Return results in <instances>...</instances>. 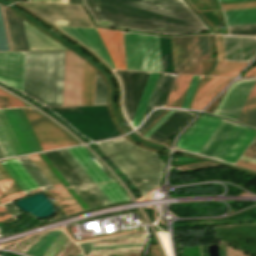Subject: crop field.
<instances>
[{"instance_id": "1", "label": "crop field", "mask_w": 256, "mask_h": 256, "mask_svg": "<svg viewBox=\"0 0 256 256\" xmlns=\"http://www.w3.org/2000/svg\"><path fill=\"white\" fill-rule=\"evenodd\" d=\"M65 51L26 52L24 95L62 106Z\"/></svg>"}, {"instance_id": "2", "label": "crop field", "mask_w": 256, "mask_h": 256, "mask_svg": "<svg viewBox=\"0 0 256 256\" xmlns=\"http://www.w3.org/2000/svg\"><path fill=\"white\" fill-rule=\"evenodd\" d=\"M0 126L15 156L42 150L21 108L0 109Z\"/></svg>"}, {"instance_id": "3", "label": "crop field", "mask_w": 256, "mask_h": 256, "mask_svg": "<svg viewBox=\"0 0 256 256\" xmlns=\"http://www.w3.org/2000/svg\"><path fill=\"white\" fill-rule=\"evenodd\" d=\"M127 69L161 72L158 37L123 32Z\"/></svg>"}, {"instance_id": "4", "label": "crop field", "mask_w": 256, "mask_h": 256, "mask_svg": "<svg viewBox=\"0 0 256 256\" xmlns=\"http://www.w3.org/2000/svg\"><path fill=\"white\" fill-rule=\"evenodd\" d=\"M42 149L79 144L75 139L37 111L22 108Z\"/></svg>"}, {"instance_id": "5", "label": "crop field", "mask_w": 256, "mask_h": 256, "mask_svg": "<svg viewBox=\"0 0 256 256\" xmlns=\"http://www.w3.org/2000/svg\"><path fill=\"white\" fill-rule=\"evenodd\" d=\"M52 24L93 27L79 6L53 4H22Z\"/></svg>"}, {"instance_id": "6", "label": "crop field", "mask_w": 256, "mask_h": 256, "mask_svg": "<svg viewBox=\"0 0 256 256\" xmlns=\"http://www.w3.org/2000/svg\"><path fill=\"white\" fill-rule=\"evenodd\" d=\"M175 73L202 75L198 35L171 38Z\"/></svg>"}, {"instance_id": "7", "label": "crop field", "mask_w": 256, "mask_h": 256, "mask_svg": "<svg viewBox=\"0 0 256 256\" xmlns=\"http://www.w3.org/2000/svg\"><path fill=\"white\" fill-rule=\"evenodd\" d=\"M123 91V109L126 117L131 122L138 101L150 72L115 70Z\"/></svg>"}, {"instance_id": "8", "label": "crop field", "mask_w": 256, "mask_h": 256, "mask_svg": "<svg viewBox=\"0 0 256 256\" xmlns=\"http://www.w3.org/2000/svg\"><path fill=\"white\" fill-rule=\"evenodd\" d=\"M83 59L66 51L63 106L80 105Z\"/></svg>"}, {"instance_id": "9", "label": "crop field", "mask_w": 256, "mask_h": 256, "mask_svg": "<svg viewBox=\"0 0 256 256\" xmlns=\"http://www.w3.org/2000/svg\"><path fill=\"white\" fill-rule=\"evenodd\" d=\"M221 121L222 119L212 116H202L186 133L181 135L176 146L198 153Z\"/></svg>"}, {"instance_id": "10", "label": "crop field", "mask_w": 256, "mask_h": 256, "mask_svg": "<svg viewBox=\"0 0 256 256\" xmlns=\"http://www.w3.org/2000/svg\"><path fill=\"white\" fill-rule=\"evenodd\" d=\"M255 81L256 79L242 80L232 84L216 109L215 114L237 119Z\"/></svg>"}, {"instance_id": "11", "label": "crop field", "mask_w": 256, "mask_h": 256, "mask_svg": "<svg viewBox=\"0 0 256 256\" xmlns=\"http://www.w3.org/2000/svg\"><path fill=\"white\" fill-rule=\"evenodd\" d=\"M25 52L0 53V80L23 93Z\"/></svg>"}, {"instance_id": "12", "label": "crop field", "mask_w": 256, "mask_h": 256, "mask_svg": "<svg viewBox=\"0 0 256 256\" xmlns=\"http://www.w3.org/2000/svg\"><path fill=\"white\" fill-rule=\"evenodd\" d=\"M226 61L250 62L256 55V37L223 35Z\"/></svg>"}, {"instance_id": "13", "label": "crop field", "mask_w": 256, "mask_h": 256, "mask_svg": "<svg viewBox=\"0 0 256 256\" xmlns=\"http://www.w3.org/2000/svg\"><path fill=\"white\" fill-rule=\"evenodd\" d=\"M231 79L205 77L194 95L191 109H202Z\"/></svg>"}, {"instance_id": "14", "label": "crop field", "mask_w": 256, "mask_h": 256, "mask_svg": "<svg viewBox=\"0 0 256 256\" xmlns=\"http://www.w3.org/2000/svg\"><path fill=\"white\" fill-rule=\"evenodd\" d=\"M115 67L126 69L122 32L96 28Z\"/></svg>"}, {"instance_id": "15", "label": "crop field", "mask_w": 256, "mask_h": 256, "mask_svg": "<svg viewBox=\"0 0 256 256\" xmlns=\"http://www.w3.org/2000/svg\"><path fill=\"white\" fill-rule=\"evenodd\" d=\"M69 153L74 157V159L79 163L83 170L88 174V176L93 180L94 183L110 181L112 180L109 175L101 169H103L99 163L94 160L97 164L91 160L93 157L90 153L82 146L68 148Z\"/></svg>"}, {"instance_id": "16", "label": "crop field", "mask_w": 256, "mask_h": 256, "mask_svg": "<svg viewBox=\"0 0 256 256\" xmlns=\"http://www.w3.org/2000/svg\"><path fill=\"white\" fill-rule=\"evenodd\" d=\"M14 50H29L22 19L5 9Z\"/></svg>"}, {"instance_id": "17", "label": "crop field", "mask_w": 256, "mask_h": 256, "mask_svg": "<svg viewBox=\"0 0 256 256\" xmlns=\"http://www.w3.org/2000/svg\"><path fill=\"white\" fill-rule=\"evenodd\" d=\"M0 163L24 192L38 188L36 183L30 178V176L18 164L19 162L17 163L15 159L0 161Z\"/></svg>"}, {"instance_id": "18", "label": "crop field", "mask_w": 256, "mask_h": 256, "mask_svg": "<svg viewBox=\"0 0 256 256\" xmlns=\"http://www.w3.org/2000/svg\"><path fill=\"white\" fill-rule=\"evenodd\" d=\"M25 31L28 39V44L30 50H39V49H66L60 44L56 43L40 31L36 30L25 21Z\"/></svg>"}, {"instance_id": "19", "label": "crop field", "mask_w": 256, "mask_h": 256, "mask_svg": "<svg viewBox=\"0 0 256 256\" xmlns=\"http://www.w3.org/2000/svg\"><path fill=\"white\" fill-rule=\"evenodd\" d=\"M235 124L227 122L225 120L219 125L213 135L209 138L199 154L211 157L221 142L225 139Z\"/></svg>"}, {"instance_id": "20", "label": "crop field", "mask_w": 256, "mask_h": 256, "mask_svg": "<svg viewBox=\"0 0 256 256\" xmlns=\"http://www.w3.org/2000/svg\"><path fill=\"white\" fill-rule=\"evenodd\" d=\"M255 136V131L245 128L222 160L235 163Z\"/></svg>"}, {"instance_id": "21", "label": "crop field", "mask_w": 256, "mask_h": 256, "mask_svg": "<svg viewBox=\"0 0 256 256\" xmlns=\"http://www.w3.org/2000/svg\"><path fill=\"white\" fill-rule=\"evenodd\" d=\"M192 76L178 74L165 107H180Z\"/></svg>"}, {"instance_id": "22", "label": "crop field", "mask_w": 256, "mask_h": 256, "mask_svg": "<svg viewBox=\"0 0 256 256\" xmlns=\"http://www.w3.org/2000/svg\"><path fill=\"white\" fill-rule=\"evenodd\" d=\"M158 74L159 73L151 72L149 75L148 81L146 83L143 94L141 96L138 107L136 109L133 120L131 122L134 128L141 122V119L143 117L144 111L146 109L147 103L149 101V98L152 93Z\"/></svg>"}, {"instance_id": "23", "label": "crop field", "mask_w": 256, "mask_h": 256, "mask_svg": "<svg viewBox=\"0 0 256 256\" xmlns=\"http://www.w3.org/2000/svg\"><path fill=\"white\" fill-rule=\"evenodd\" d=\"M95 70L84 62L81 105L93 104Z\"/></svg>"}, {"instance_id": "24", "label": "crop field", "mask_w": 256, "mask_h": 256, "mask_svg": "<svg viewBox=\"0 0 256 256\" xmlns=\"http://www.w3.org/2000/svg\"><path fill=\"white\" fill-rule=\"evenodd\" d=\"M94 49L114 68L95 28L74 27ZM115 69V68H114Z\"/></svg>"}, {"instance_id": "25", "label": "crop field", "mask_w": 256, "mask_h": 256, "mask_svg": "<svg viewBox=\"0 0 256 256\" xmlns=\"http://www.w3.org/2000/svg\"><path fill=\"white\" fill-rule=\"evenodd\" d=\"M238 120L256 127V83L238 117Z\"/></svg>"}, {"instance_id": "26", "label": "crop field", "mask_w": 256, "mask_h": 256, "mask_svg": "<svg viewBox=\"0 0 256 256\" xmlns=\"http://www.w3.org/2000/svg\"><path fill=\"white\" fill-rule=\"evenodd\" d=\"M228 25L256 23V9L223 12Z\"/></svg>"}, {"instance_id": "27", "label": "crop field", "mask_w": 256, "mask_h": 256, "mask_svg": "<svg viewBox=\"0 0 256 256\" xmlns=\"http://www.w3.org/2000/svg\"><path fill=\"white\" fill-rule=\"evenodd\" d=\"M248 63H234L217 61L214 70L208 74L213 76L234 77L237 75Z\"/></svg>"}, {"instance_id": "28", "label": "crop field", "mask_w": 256, "mask_h": 256, "mask_svg": "<svg viewBox=\"0 0 256 256\" xmlns=\"http://www.w3.org/2000/svg\"><path fill=\"white\" fill-rule=\"evenodd\" d=\"M97 185L112 203L129 199L115 182L100 183Z\"/></svg>"}, {"instance_id": "29", "label": "crop field", "mask_w": 256, "mask_h": 256, "mask_svg": "<svg viewBox=\"0 0 256 256\" xmlns=\"http://www.w3.org/2000/svg\"><path fill=\"white\" fill-rule=\"evenodd\" d=\"M243 129V126L236 125L235 128L228 135V137L217 149V151L213 154L212 158L221 160V158L224 156V154L227 152V150L230 148L232 143L235 141V139L238 137V135L241 133Z\"/></svg>"}, {"instance_id": "30", "label": "crop field", "mask_w": 256, "mask_h": 256, "mask_svg": "<svg viewBox=\"0 0 256 256\" xmlns=\"http://www.w3.org/2000/svg\"><path fill=\"white\" fill-rule=\"evenodd\" d=\"M94 104H107V87L103 78L96 72Z\"/></svg>"}, {"instance_id": "31", "label": "crop field", "mask_w": 256, "mask_h": 256, "mask_svg": "<svg viewBox=\"0 0 256 256\" xmlns=\"http://www.w3.org/2000/svg\"><path fill=\"white\" fill-rule=\"evenodd\" d=\"M31 160L36 164V166L42 171V173L48 178V180L53 184L55 188L63 187L62 184L57 180V178L52 174L48 167L43 163V161L38 157L37 154L29 156Z\"/></svg>"}, {"instance_id": "32", "label": "crop field", "mask_w": 256, "mask_h": 256, "mask_svg": "<svg viewBox=\"0 0 256 256\" xmlns=\"http://www.w3.org/2000/svg\"><path fill=\"white\" fill-rule=\"evenodd\" d=\"M59 151L64 156V158L68 161V163L72 166V168L76 171V173L80 176V178L84 181L85 184L93 183L92 180L87 176V174L78 165L79 163L77 164V162L73 159L74 157L72 158V156L68 153L69 151L67 152L66 149H61Z\"/></svg>"}, {"instance_id": "33", "label": "crop field", "mask_w": 256, "mask_h": 256, "mask_svg": "<svg viewBox=\"0 0 256 256\" xmlns=\"http://www.w3.org/2000/svg\"><path fill=\"white\" fill-rule=\"evenodd\" d=\"M66 33H68L73 38L77 39L81 43L85 44L87 47H89L92 51H94L106 64H108L94 49L93 47L73 28V27H63V26H56ZM109 65V64H108ZM110 66V65H109ZM111 67V66H110Z\"/></svg>"}, {"instance_id": "34", "label": "crop field", "mask_w": 256, "mask_h": 256, "mask_svg": "<svg viewBox=\"0 0 256 256\" xmlns=\"http://www.w3.org/2000/svg\"><path fill=\"white\" fill-rule=\"evenodd\" d=\"M198 78H199V76H193L192 77L191 82L189 84V87L187 89L186 95L184 97V100H183L182 105H181L180 108H187L188 107V104H189L190 99L192 97V94H193V91H194V88L196 86Z\"/></svg>"}, {"instance_id": "35", "label": "crop field", "mask_w": 256, "mask_h": 256, "mask_svg": "<svg viewBox=\"0 0 256 256\" xmlns=\"http://www.w3.org/2000/svg\"><path fill=\"white\" fill-rule=\"evenodd\" d=\"M0 188L9 197L10 200L19 198L18 194L13 190V188L8 184V182L0 174Z\"/></svg>"}, {"instance_id": "36", "label": "crop field", "mask_w": 256, "mask_h": 256, "mask_svg": "<svg viewBox=\"0 0 256 256\" xmlns=\"http://www.w3.org/2000/svg\"><path fill=\"white\" fill-rule=\"evenodd\" d=\"M222 11L256 8V2L221 5Z\"/></svg>"}, {"instance_id": "37", "label": "crop field", "mask_w": 256, "mask_h": 256, "mask_svg": "<svg viewBox=\"0 0 256 256\" xmlns=\"http://www.w3.org/2000/svg\"><path fill=\"white\" fill-rule=\"evenodd\" d=\"M57 191L66 200V202L73 208L75 212L82 210L80 205L74 200V198L68 193L66 189H60Z\"/></svg>"}, {"instance_id": "38", "label": "crop field", "mask_w": 256, "mask_h": 256, "mask_svg": "<svg viewBox=\"0 0 256 256\" xmlns=\"http://www.w3.org/2000/svg\"><path fill=\"white\" fill-rule=\"evenodd\" d=\"M201 60L210 59L207 35H199Z\"/></svg>"}, {"instance_id": "39", "label": "crop field", "mask_w": 256, "mask_h": 256, "mask_svg": "<svg viewBox=\"0 0 256 256\" xmlns=\"http://www.w3.org/2000/svg\"><path fill=\"white\" fill-rule=\"evenodd\" d=\"M0 148L4 154L5 157L14 156L1 129H0Z\"/></svg>"}, {"instance_id": "40", "label": "crop field", "mask_w": 256, "mask_h": 256, "mask_svg": "<svg viewBox=\"0 0 256 256\" xmlns=\"http://www.w3.org/2000/svg\"><path fill=\"white\" fill-rule=\"evenodd\" d=\"M0 173L14 188V190L19 194L20 197L25 196V194L21 191V189L17 186V184L13 181V179L8 175V173L4 170V168L1 165H0Z\"/></svg>"}, {"instance_id": "41", "label": "crop field", "mask_w": 256, "mask_h": 256, "mask_svg": "<svg viewBox=\"0 0 256 256\" xmlns=\"http://www.w3.org/2000/svg\"><path fill=\"white\" fill-rule=\"evenodd\" d=\"M49 192L58 201V203L65 209V211L68 214L74 213L72 208L65 202V200L58 194V192L56 190H51Z\"/></svg>"}, {"instance_id": "42", "label": "crop field", "mask_w": 256, "mask_h": 256, "mask_svg": "<svg viewBox=\"0 0 256 256\" xmlns=\"http://www.w3.org/2000/svg\"><path fill=\"white\" fill-rule=\"evenodd\" d=\"M91 191L100 199V201L103 203V204H108L110 203L109 200L105 197V195L101 192V190L97 187L96 184H93V185H89L88 186ZM98 199V200H99Z\"/></svg>"}, {"instance_id": "43", "label": "crop field", "mask_w": 256, "mask_h": 256, "mask_svg": "<svg viewBox=\"0 0 256 256\" xmlns=\"http://www.w3.org/2000/svg\"><path fill=\"white\" fill-rule=\"evenodd\" d=\"M175 110H169L157 123H155L143 136L146 138L160 125L162 124Z\"/></svg>"}, {"instance_id": "44", "label": "crop field", "mask_w": 256, "mask_h": 256, "mask_svg": "<svg viewBox=\"0 0 256 256\" xmlns=\"http://www.w3.org/2000/svg\"><path fill=\"white\" fill-rule=\"evenodd\" d=\"M0 11H1L2 21H3V25H4L5 34H6L8 48H9V50H13L11 40H10L9 31H8V27H7V23H6L4 10H3V7H1V6H0Z\"/></svg>"}, {"instance_id": "45", "label": "crop field", "mask_w": 256, "mask_h": 256, "mask_svg": "<svg viewBox=\"0 0 256 256\" xmlns=\"http://www.w3.org/2000/svg\"><path fill=\"white\" fill-rule=\"evenodd\" d=\"M3 50H8V48H7L5 34H4L3 25H2L1 16H0V51H3Z\"/></svg>"}, {"instance_id": "46", "label": "crop field", "mask_w": 256, "mask_h": 256, "mask_svg": "<svg viewBox=\"0 0 256 256\" xmlns=\"http://www.w3.org/2000/svg\"><path fill=\"white\" fill-rule=\"evenodd\" d=\"M229 31L256 29V24L228 26Z\"/></svg>"}, {"instance_id": "47", "label": "crop field", "mask_w": 256, "mask_h": 256, "mask_svg": "<svg viewBox=\"0 0 256 256\" xmlns=\"http://www.w3.org/2000/svg\"><path fill=\"white\" fill-rule=\"evenodd\" d=\"M13 218L11 215L0 205V221H11Z\"/></svg>"}, {"instance_id": "48", "label": "crop field", "mask_w": 256, "mask_h": 256, "mask_svg": "<svg viewBox=\"0 0 256 256\" xmlns=\"http://www.w3.org/2000/svg\"><path fill=\"white\" fill-rule=\"evenodd\" d=\"M236 164L240 165V166H244V167L250 168V169H253V170H256V164L251 163V162H247V161L239 159Z\"/></svg>"}, {"instance_id": "49", "label": "crop field", "mask_w": 256, "mask_h": 256, "mask_svg": "<svg viewBox=\"0 0 256 256\" xmlns=\"http://www.w3.org/2000/svg\"><path fill=\"white\" fill-rule=\"evenodd\" d=\"M7 107V93L0 90V108Z\"/></svg>"}, {"instance_id": "50", "label": "crop field", "mask_w": 256, "mask_h": 256, "mask_svg": "<svg viewBox=\"0 0 256 256\" xmlns=\"http://www.w3.org/2000/svg\"><path fill=\"white\" fill-rule=\"evenodd\" d=\"M230 34H243V35H256V30H246V31H234L229 32Z\"/></svg>"}, {"instance_id": "51", "label": "crop field", "mask_w": 256, "mask_h": 256, "mask_svg": "<svg viewBox=\"0 0 256 256\" xmlns=\"http://www.w3.org/2000/svg\"><path fill=\"white\" fill-rule=\"evenodd\" d=\"M244 156L256 159V149L249 147L248 150L245 152Z\"/></svg>"}, {"instance_id": "52", "label": "crop field", "mask_w": 256, "mask_h": 256, "mask_svg": "<svg viewBox=\"0 0 256 256\" xmlns=\"http://www.w3.org/2000/svg\"><path fill=\"white\" fill-rule=\"evenodd\" d=\"M248 76H256V67L251 68L244 75H242V77H248Z\"/></svg>"}, {"instance_id": "53", "label": "crop field", "mask_w": 256, "mask_h": 256, "mask_svg": "<svg viewBox=\"0 0 256 256\" xmlns=\"http://www.w3.org/2000/svg\"><path fill=\"white\" fill-rule=\"evenodd\" d=\"M7 201H9V199L7 198V196L0 189V203L3 204L5 202H7Z\"/></svg>"}, {"instance_id": "54", "label": "crop field", "mask_w": 256, "mask_h": 256, "mask_svg": "<svg viewBox=\"0 0 256 256\" xmlns=\"http://www.w3.org/2000/svg\"><path fill=\"white\" fill-rule=\"evenodd\" d=\"M241 159L248 160V161L256 163V160L251 159V158H247V157H244V156H242Z\"/></svg>"}, {"instance_id": "55", "label": "crop field", "mask_w": 256, "mask_h": 256, "mask_svg": "<svg viewBox=\"0 0 256 256\" xmlns=\"http://www.w3.org/2000/svg\"><path fill=\"white\" fill-rule=\"evenodd\" d=\"M69 3L81 4V0H69Z\"/></svg>"}, {"instance_id": "56", "label": "crop field", "mask_w": 256, "mask_h": 256, "mask_svg": "<svg viewBox=\"0 0 256 256\" xmlns=\"http://www.w3.org/2000/svg\"><path fill=\"white\" fill-rule=\"evenodd\" d=\"M47 2H59V3H61V0H47Z\"/></svg>"}, {"instance_id": "57", "label": "crop field", "mask_w": 256, "mask_h": 256, "mask_svg": "<svg viewBox=\"0 0 256 256\" xmlns=\"http://www.w3.org/2000/svg\"><path fill=\"white\" fill-rule=\"evenodd\" d=\"M30 1H40V2H46V0H30Z\"/></svg>"}, {"instance_id": "58", "label": "crop field", "mask_w": 256, "mask_h": 256, "mask_svg": "<svg viewBox=\"0 0 256 256\" xmlns=\"http://www.w3.org/2000/svg\"><path fill=\"white\" fill-rule=\"evenodd\" d=\"M62 3H68V0H62Z\"/></svg>"}, {"instance_id": "59", "label": "crop field", "mask_w": 256, "mask_h": 256, "mask_svg": "<svg viewBox=\"0 0 256 256\" xmlns=\"http://www.w3.org/2000/svg\"><path fill=\"white\" fill-rule=\"evenodd\" d=\"M0 158H4L3 155H2V153H1V151H0Z\"/></svg>"}, {"instance_id": "60", "label": "crop field", "mask_w": 256, "mask_h": 256, "mask_svg": "<svg viewBox=\"0 0 256 256\" xmlns=\"http://www.w3.org/2000/svg\"><path fill=\"white\" fill-rule=\"evenodd\" d=\"M253 144H256V138H255V140L252 142Z\"/></svg>"}, {"instance_id": "61", "label": "crop field", "mask_w": 256, "mask_h": 256, "mask_svg": "<svg viewBox=\"0 0 256 256\" xmlns=\"http://www.w3.org/2000/svg\"><path fill=\"white\" fill-rule=\"evenodd\" d=\"M219 1H225V0H219Z\"/></svg>"}]
</instances>
